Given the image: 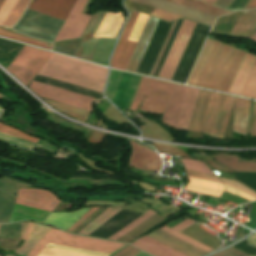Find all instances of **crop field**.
Here are the masks:
<instances>
[{"label":"crop field","instance_id":"obj_51","mask_svg":"<svg viewBox=\"0 0 256 256\" xmlns=\"http://www.w3.org/2000/svg\"><path fill=\"white\" fill-rule=\"evenodd\" d=\"M38 256H85V255L44 248Z\"/></svg>","mask_w":256,"mask_h":256},{"label":"crop field","instance_id":"obj_59","mask_svg":"<svg viewBox=\"0 0 256 256\" xmlns=\"http://www.w3.org/2000/svg\"><path fill=\"white\" fill-rule=\"evenodd\" d=\"M221 197H223V198H225V199H228V200H231V201H233V202H236V203H238V204L245 203V202H249V201H247V200L241 199V198H239V197H236V196H234V195L228 194V193H226V192H224Z\"/></svg>","mask_w":256,"mask_h":256},{"label":"crop field","instance_id":"obj_65","mask_svg":"<svg viewBox=\"0 0 256 256\" xmlns=\"http://www.w3.org/2000/svg\"><path fill=\"white\" fill-rule=\"evenodd\" d=\"M60 110V109H59ZM61 111H63V110H61ZM63 112H65V113H67V114H69V115H71V116H74V117H76V118H78V119H81V120H84V121H86V117H83V116H79V115H76V114H73V113H70V112H67V111H63Z\"/></svg>","mask_w":256,"mask_h":256},{"label":"crop field","instance_id":"obj_25","mask_svg":"<svg viewBox=\"0 0 256 256\" xmlns=\"http://www.w3.org/2000/svg\"><path fill=\"white\" fill-rule=\"evenodd\" d=\"M181 233L188 235L213 249H216L222 243L219 238L207 233L196 224L190 226Z\"/></svg>","mask_w":256,"mask_h":256},{"label":"crop field","instance_id":"obj_42","mask_svg":"<svg viewBox=\"0 0 256 256\" xmlns=\"http://www.w3.org/2000/svg\"><path fill=\"white\" fill-rule=\"evenodd\" d=\"M105 15V12H98L95 13L93 19L91 20L88 28L86 29L84 35L82 36V38H92L98 28V26L100 25L103 17Z\"/></svg>","mask_w":256,"mask_h":256},{"label":"crop field","instance_id":"obj_37","mask_svg":"<svg viewBox=\"0 0 256 256\" xmlns=\"http://www.w3.org/2000/svg\"><path fill=\"white\" fill-rule=\"evenodd\" d=\"M154 214L156 213H154L152 210L149 209L142 217L138 218L131 224L127 225L126 227L118 231L117 233L113 234L112 236L109 237V239H113V240L118 239L119 237H121L122 235H124L125 233L133 229L134 227L138 226L139 224H141L142 222H144L145 220L153 216Z\"/></svg>","mask_w":256,"mask_h":256},{"label":"crop field","instance_id":"obj_36","mask_svg":"<svg viewBox=\"0 0 256 256\" xmlns=\"http://www.w3.org/2000/svg\"><path fill=\"white\" fill-rule=\"evenodd\" d=\"M166 104L165 102L145 98L139 110L153 114H162Z\"/></svg>","mask_w":256,"mask_h":256},{"label":"crop field","instance_id":"obj_55","mask_svg":"<svg viewBox=\"0 0 256 256\" xmlns=\"http://www.w3.org/2000/svg\"><path fill=\"white\" fill-rule=\"evenodd\" d=\"M177 21H178V20L174 21L173 24H172V26H171V29H170V31H169V33H168V35H167V38H166V40H165V42H164V45H163V47H162V49H161V51H160V54H159V56H158V58H157V61H156L155 65H154V67H153V70H152L151 74H150L151 76L153 75V73H154V71H155V69H156V67H157V64H158V62H159V60H160V58H161V56H162V53H163V51H164V49H165V47H166V45H167V43H168V40H169V38H170V36H171V34H172V32H173V29H174V27H175Z\"/></svg>","mask_w":256,"mask_h":256},{"label":"crop field","instance_id":"obj_19","mask_svg":"<svg viewBox=\"0 0 256 256\" xmlns=\"http://www.w3.org/2000/svg\"><path fill=\"white\" fill-rule=\"evenodd\" d=\"M133 245L155 255V256H186L172 248H169L147 236L139 238ZM132 245V246H133ZM134 246V247H135Z\"/></svg>","mask_w":256,"mask_h":256},{"label":"crop field","instance_id":"obj_29","mask_svg":"<svg viewBox=\"0 0 256 256\" xmlns=\"http://www.w3.org/2000/svg\"><path fill=\"white\" fill-rule=\"evenodd\" d=\"M163 219L165 218L156 214L150 219H148L147 221H145L144 223H142L141 225H139L138 227L134 228L133 230H131L130 232H128L127 234L119 238L118 241L130 243L136 237L140 236L143 232H145L146 230H148L158 222L162 221Z\"/></svg>","mask_w":256,"mask_h":256},{"label":"crop field","instance_id":"obj_11","mask_svg":"<svg viewBox=\"0 0 256 256\" xmlns=\"http://www.w3.org/2000/svg\"><path fill=\"white\" fill-rule=\"evenodd\" d=\"M174 85L172 83L142 77L129 109L136 111L146 93L147 98L167 102Z\"/></svg>","mask_w":256,"mask_h":256},{"label":"crop field","instance_id":"obj_58","mask_svg":"<svg viewBox=\"0 0 256 256\" xmlns=\"http://www.w3.org/2000/svg\"><path fill=\"white\" fill-rule=\"evenodd\" d=\"M225 190L229 191L231 193L237 194L239 196L245 197V198L250 199V200H256L255 199L256 197L253 198V197H251V196H249V195H247V194H245V193H243V192H241V191H239V190H237V189H235V188H233L231 186H228L226 184H225Z\"/></svg>","mask_w":256,"mask_h":256},{"label":"crop field","instance_id":"obj_31","mask_svg":"<svg viewBox=\"0 0 256 256\" xmlns=\"http://www.w3.org/2000/svg\"><path fill=\"white\" fill-rule=\"evenodd\" d=\"M122 209L118 208H108L106 211H104L100 216H98L94 221H92L88 226H86L82 231H80V234H86L89 235L94 230H96L98 227H100L102 224H104L107 220H109L111 217H113L115 214H117Z\"/></svg>","mask_w":256,"mask_h":256},{"label":"crop field","instance_id":"obj_33","mask_svg":"<svg viewBox=\"0 0 256 256\" xmlns=\"http://www.w3.org/2000/svg\"><path fill=\"white\" fill-rule=\"evenodd\" d=\"M29 0H19L14 10L7 18V20L3 23L2 27L11 28L14 23L21 17L23 11L25 10Z\"/></svg>","mask_w":256,"mask_h":256},{"label":"crop field","instance_id":"obj_40","mask_svg":"<svg viewBox=\"0 0 256 256\" xmlns=\"http://www.w3.org/2000/svg\"><path fill=\"white\" fill-rule=\"evenodd\" d=\"M4 111L5 110L0 107V118L2 117ZM0 140H4L9 144L16 145V146L23 147V148H28V149H32V150L34 148L33 147L34 143L15 138V137L3 134L1 132H0Z\"/></svg>","mask_w":256,"mask_h":256},{"label":"crop field","instance_id":"obj_4","mask_svg":"<svg viewBox=\"0 0 256 256\" xmlns=\"http://www.w3.org/2000/svg\"><path fill=\"white\" fill-rule=\"evenodd\" d=\"M234 98L200 89L188 131L224 136Z\"/></svg>","mask_w":256,"mask_h":256},{"label":"crop field","instance_id":"obj_9","mask_svg":"<svg viewBox=\"0 0 256 256\" xmlns=\"http://www.w3.org/2000/svg\"><path fill=\"white\" fill-rule=\"evenodd\" d=\"M228 92L256 98V56L246 54Z\"/></svg>","mask_w":256,"mask_h":256},{"label":"crop field","instance_id":"obj_2","mask_svg":"<svg viewBox=\"0 0 256 256\" xmlns=\"http://www.w3.org/2000/svg\"><path fill=\"white\" fill-rule=\"evenodd\" d=\"M76 0H32L28 10L65 21ZM26 10L14 30L53 42L63 21Z\"/></svg>","mask_w":256,"mask_h":256},{"label":"crop field","instance_id":"obj_3","mask_svg":"<svg viewBox=\"0 0 256 256\" xmlns=\"http://www.w3.org/2000/svg\"><path fill=\"white\" fill-rule=\"evenodd\" d=\"M55 54L45 63L39 75L102 93L106 68Z\"/></svg>","mask_w":256,"mask_h":256},{"label":"crop field","instance_id":"obj_14","mask_svg":"<svg viewBox=\"0 0 256 256\" xmlns=\"http://www.w3.org/2000/svg\"><path fill=\"white\" fill-rule=\"evenodd\" d=\"M16 200L17 204L47 211H53L60 202L53 194L40 189H19Z\"/></svg>","mask_w":256,"mask_h":256},{"label":"crop field","instance_id":"obj_13","mask_svg":"<svg viewBox=\"0 0 256 256\" xmlns=\"http://www.w3.org/2000/svg\"><path fill=\"white\" fill-rule=\"evenodd\" d=\"M172 22L159 20L136 72L150 74Z\"/></svg>","mask_w":256,"mask_h":256},{"label":"crop field","instance_id":"obj_48","mask_svg":"<svg viewBox=\"0 0 256 256\" xmlns=\"http://www.w3.org/2000/svg\"><path fill=\"white\" fill-rule=\"evenodd\" d=\"M44 100L47 101L50 105H52L54 107H57V108H60V109H63V110H67V111L77 113V114H80V115H83V116H88V114H89V111H85V110L75 108V107H72V106H69V105L49 101V100H46V99H44Z\"/></svg>","mask_w":256,"mask_h":256},{"label":"crop field","instance_id":"obj_64","mask_svg":"<svg viewBox=\"0 0 256 256\" xmlns=\"http://www.w3.org/2000/svg\"><path fill=\"white\" fill-rule=\"evenodd\" d=\"M255 31H256V21H255L254 25L252 26V28L250 29V31L248 32V34L246 35V38L251 39V37Z\"/></svg>","mask_w":256,"mask_h":256},{"label":"crop field","instance_id":"obj_32","mask_svg":"<svg viewBox=\"0 0 256 256\" xmlns=\"http://www.w3.org/2000/svg\"><path fill=\"white\" fill-rule=\"evenodd\" d=\"M169 1L179 3V4H182V5L188 6V7H192V8L201 10L203 12H206V13H209V14H212V15H215V16L230 13L228 11L219 10L217 8H214V7L210 6V5L200 3L196 0H169Z\"/></svg>","mask_w":256,"mask_h":256},{"label":"crop field","instance_id":"obj_10","mask_svg":"<svg viewBox=\"0 0 256 256\" xmlns=\"http://www.w3.org/2000/svg\"><path fill=\"white\" fill-rule=\"evenodd\" d=\"M28 87L38 95L47 99L69 104L89 111L91 110V101L95 99L34 81H32Z\"/></svg>","mask_w":256,"mask_h":256},{"label":"crop field","instance_id":"obj_63","mask_svg":"<svg viewBox=\"0 0 256 256\" xmlns=\"http://www.w3.org/2000/svg\"><path fill=\"white\" fill-rule=\"evenodd\" d=\"M256 8V0H250L243 9Z\"/></svg>","mask_w":256,"mask_h":256},{"label":"crop field","instance_id":"obj_6","mask_svg":"<svg viewBox=\"0 0 256 256\" xmlns=\"http://www.w3.org/2000/svg\"><path fill=\"white\" fill-rule=\"evenodd\" d=\"M56 243L61 245H67L92 251H98L111 254L123 244H117L112 242H106L101 240H95L90 238H84L79 236H73L56 229H51L46 236L36 245V247L29 253L28 256H37L42 248L48 243Z\"/></svg>","mask_w":256,"mask_h":256},{"label":"crop field","instance_id":"obj_15","mask_svg":"<svg viewBox=\"0 0 256 256\" xmlns=\"http://www.w3.org/2000/svg\"><path fill=\"white\" fill-rule=\"evenodd\" d=\"M138 12L133 11L111 59V67L124 70L137 43L126 41Z\"/></svg>","mask_w":256,"mask_h":256},{"label":"crop field","instance_id":"obj_24","mask_svg":"<svg viewBox=\"0 0 256 256\" xmlns=\"http://www.w3.org/2000/svg\"><path fill=\"white\" fill-rule=\"evenodd\" d=\"M49 214L50 212L47 211L15 204L9 222L20 221L22 219L43 221Z\"/></svg>","mask_w":256,"mask_h":256},{"label":"crop field","instance_id":"obj_52","mask_svg":"<svg viewBox=\"0 0 256 256\" xmlns=\"http://www.w3.org/2000/svg\"><path fill=\"white\" fill-rule=\"evenodd\" d=\"M155 232H157V233H159V234H161V235H163V236H165V237H167V238H169V239H171V240H173V241H175V242H177V243H179V244H181V245H183V246H185V247H187V248H189V249H191V250H193V251H195V252H197V253H199V254H201V255H204V254H206L205 252H203V251H201V250H199V249H197V248H195V247H193V246H191V245H189V244H187V243H185V242H183V241H181V240H179V239H177V238H175V237H173V236H171V235H169V234H167V233H165V232H163V231H161V230H156ZM154 232V233H155ZM156 233V234H157ZM158 234V235H159ZM160 235V236H161ZM162 236V237H163ZM164 237V238H165ZM166 238V239H167Z\"/></svg>","mask_w":256,"mask_h":256},{"label":"crop field","instance_id":"obj_1","mask_svg":"<svg viewBox=\"0 0 256 256\" xmlns=\"http://www.w3.org/2000/svg\"><path fill=\"white\" fill-rule=\"evenodd\" d=\"M245 52L207 39L187 84L228 91Z\"/></svg>","mask_w":256,"mask_h":256},{"label":"crop field","instance_id":"obj_28","mask_svg":"<svg viewBox=\"0 0 256 256\" xmlns=\"http://www.w3.org/2000/svg\"><path fill=\"white\" fill-rule=\"evenodd\" d=\"M194 223H196V222L191 220V219H188V220L182 222L181 224H179V225H177V226H175L171 229H169L167 227H164V228H162V230H164V231H166V232H168V233H170V234H172V235H174V236H176V237H178V238H180V239H182V240H184V241H186V242H188V243H190V244H192V245H194V246H196V247H198V248H200V249H202V250H204L208 253L211 252L213 249H211V248H209V247H207V246H205V245H203V244H201V243H199V242H197V241L179 233L180 231L184 230L185 228L189 227L190 225H192Z\"/></svg>","mask_w":256,"mask_h":256},{"label":"crop field","instance_id":"obj_66","mask_svg":"<svg viewBox=\"0 0 256 256\" xmlns=\"http://www.w3.org/2000/svg\"><path fill=\"white\" fill-rule=\"evenodd\" d=\"M135 256H150V255H148V254H146V253L140 251V252H139L137 255H135Z\"/></svg>","mask_w":256,"mask_h":256},{"label":"crop field","instance_id":"obj_47","mask_svg":"<svg viewBox=\"0 0 256 256\" xmlns=\"http://www.w3.org/2000/svg\"><path fill=\"white\" fill-rule=\"evenodd\" d=\"M235 177L256 190V173H235Z\"/></svg>","mask_w":256,"mask_h":256},{"label":"crop field","instance_id":"obj_7","mask_svg":"<svg viewBox=\"0 0 256 256\" xmlns=\"http://www.w3.org/2000/svg\"><path fill=\"white\" fill-rule=\"evenodd\" d=\"M51 55L52 53L24 45L7 70L27 86Z\"/></svg>","mask_w":256,"mask_h":256},{"label":"crop field","instance_id":"obj_35","mask_svg":"<svg viewBox=\"0 0 256 256\" xmlns=\"http://www.w3.org/2000/svg\"><path fill=\"white\" fill-rule=\"evenodd\" d=\"M0 36H4V37L12 38V39H15V40H18V41H22V42H25V43L37 45V46H40V47H43V48H46V49H49V50H51V47H52V44L41 42V41L31 39V38H28V37H24V36H21V35H18V34H14V33L8 32V31H6L2 28H0Z\"/></svg>","mask_w":256,"mask_h":256},{"label":"crop field","instance_id":"obj_44","mask_svg":"<svg viewBox=\"0 0 256 256\" xmlns=\"http://www.w3.org/2000/svg\"><path fill=\"white\" fill-rule=\"evenodd\" d=\"M46 247L47 248L58 249V250L69 251V252L80 253V254H85V255H91V256H108V254L92 252V251H87V250H82V249H77V248H72V247H67V246L51 244V243H48L46 245Z\"/></svg>","mask_w":256,"mask_h":256},{"label":"crop field","instance_id":"obj_50","mask_svg":"<svg viewBox=\"0 0 256 256\" xmlns=\"http://www.w3.org/2000/svg\"><path fill=\"white\" fill-rule=\"evenodd\" d=\"M140 129L143 131L145 136L153 137L156 139H161L159 128L157 125L145 124Z\"/></svg>","mask_w":256,"mask_h":256},{"label":"crop field","instance_id":"obj_27","mask_svg":"<svg viewBox=\"0 0 256 256\" xmlns=\"http://www.w3.org/2000/svg\"><path fill=\"white\" fill-rule=\"evenodd\" d=\"M255 20L256 10L244 11L230 34L237 37H245Z\"/></svg>","mask_w":256,"mask_h":256},{"label":"crop field","instance_id":"obj_68","mask_svg":"<svg viewBox=\"0 0 256 256\" xmlns=\"http://www.w3.org/2000/svg\"><path fill=\"white\" fill-rule=\"evenodd\" d=\"M253 137H256V120H255V126H254V134Z\"/></svg>","mask_w":256,"mask_h":256},{"label":"crop field","instance_id":"obj_18","mask_svg":"<svg viewBox=\"0 0 256 256\" xmlns=\"http://www.w3.org/2000/svg\"><path fill=\"white\" fill-rule=\"evenodd\" d=\"M32 222H27L22 233V240L26 239ZM51 227L34 223L25 242L17 249L18 254L27 255L32 248L41 240Z\"/></svg>","mask_w":256,"mask_h":256},{"label":"crop field","instance_id":"obj_67","mask_svg":"<svg viewBox=\"0 0 256 256\" xmlns=\"http://www.w3.org/2000/svg\"><path fill=\"white\" fill-rule=\"evenodd\" d=\"M215 1H216V0H207L206 3H209V4H212V5H213Z\"/></svg>","mask_w":256,"mask_h":256},{"label":"crop field","instance_id":"obj_16","mask_svg":"<svg viewBox=\"0 0 256 256\" xmlns=\"http://www.w3.org/2000/svg\"><path fill=\"white\" fill-rule=\"evenodd\" d=\"M131 145L133 151L130 155V165L144 170H160L162 162L156 153L150 152L149 149L134 142H131Z\"/></svg>","mask_w":256,"mask_h":256},{"label":"crop field","instance_id":"obj_46","mask_svg":"<svg viewBox=\"0 0 256 256\" xmlns=\"http://www.w3.org/2000/svg\"><path fill=\"white\" fill-rule=\"evenodd\" d=\"M154 145L156 146V148L159 151V153L175 154V155L191 158L182 149L171 147V146H167V145H162V144H156V143H154Z\"/></svg>","mask_w":256,"mask_h":256},{"label":"crop field","instance_id":"obj_38","mask_svg":"<svg viewBox=\"0 0 256 256\" xmlns=\"http://www.w3.org/2000/svg\"><path fill=\"white\" fill-rule=\"evenodd\" d=\"M148 236H150V237H152V238H154V239H156V240H158V241H160V242H162V243H164V244H166V245H168V246H170V247H172V248H174V249H176V250H178V251H180V252H182V253H184L188 256H201V255H199V254H197V253H195V252H193V251H191V250H189V249H187V248H185V247H183V246H181V245H179V244H177V243H175V242H173L169 239H166V238H164V237H162V236H160V235H158L154 232L151 233Z\"/></svg>","mask_w":256,"mask_h":256},{"label":"crop field","instance_id":"obj_56","mask_svg":"<svg viewBox=\"0 0 256 256\" xmlns=\"http://www.w3.org/2000/svg\"><path fill=\"white\" fill-rule=\"evenodd\" d=\"M214 256H250L234 248H229L223 252H220Z\"/></svg>","mask_w":256,"mask_h":256},{"label":"crop field","instance_id":"obj_20","mask_svg":"<svg viewBox=\"0 0 256 256\" xmlns=\"http://www.w3.org/2000/svg\"><path fill=\"white\" fill-rule=\"evenodd\" d=\"M250 101L236 97L233 131L246 136Z\"/></svg>","mask_w":256,"mask_h":256},{"label":"crop field","instance_id":"obj_34","mask_svg":"<svg viewBox=\"0 0 256 256\" xmlns=\"http://www.w3.org/2000/svg\"><path fill=\"white\" fill-rule=\"evenodd\" d=\"M97 40L98 39H92V40L82 39L76 57L86 59V60H91Z\"/></svg>","mask_w":256,"mask_h":256},{"label":"crop field","instance_id":"obj_60","mask_svg":"<svg viewBox=\"0 0 256 256\" xmlns=\"http://www.w3.org/2000/svg\"><path fill=\"white\" fill-rule=\"evenodd\" d=\"M103 133H99V132H93V134L90 136V138L87 140L90 143H100L102 137H103Z\"/></svg>","mask_w":256,"mask_h":256},{"label":"crop field","instance_id":"obj_23","mask_svg":"<svg viewBox=\"0 0 256 256\" xmlns=\"http://www.w3.org/2000/svg\"><path fill=\"white\" fill-rule=\"evenodd\" d=\"M123 14L118 12L117 15L107 12L94 38L109 37L114 38L119 27L123 22ZM93 38V37H92Z\"/></svg>","mask_w":256,"mask_h":256},{"label":"crop field","instance_id":"obj_22","mask_svg":"<svg viewBox=\"0 0 256 256\" xmlns=\"http://www.w3.org/2000/svg\"><path fill=\"white\" fill-rule=\"evenodd\" d=\"M91 209H82L71 213H51L44 222L67 230Z\"/></svg>","mask_w":256,"mask_h":256},{"label":"crop field","instance_id":"obj_62","mask_svg":"<svg viewBox=\"0 0 256 256\" xmlns=\"http://www.w3.org/2000/svg\"><path fill=\"white\" fill-rule=\"evenodd\" d=\"M207 162V161H206ZM210 166H212L214 169H217V170H222V171H227V172H232L230 170H227L219 165H217L216 163L214 162H207ZM233 173V172H232Z\"/></svg>","mask_w":256,"mask_h":256},{"label":"crop field","instance_id":"obj_57","mask_svg":"<svg viewBox=\"0 0 256 256\" xmlns=\"http://www.w3.org/2000/svg\"><path fill=\"white\" fill-rule=\"evenodd\" d=\"M138 252H139V250H137L131 246H127V247L123 248L122 250H120L119 252H117L113 256H134Z\"/></svg>","mask_w":256,"mask_h":256},{"label":"crop field","instance_id":"obj_49","mask_svg":"<svg viewBox=\"0 0 256 256\" xmlns=\"http://www.w3.org/2000/svg\"><path fill=\"white\" fill-rule=\"evenodd\" d=\"M18 0H6L5 4L0 10V26L10 14Z\"/></svg>","mask_w":256,"mask_h":256},{"label":"crop field","instance_id":"obj_30","mask_svg":"<svg viewBox=\"0 0 256 256\" xmlns=\"http://www.w3.org/2000/svg\"><path fill=\"white\" fill-rule=\"evenodd\" d=\"M114 41L115 40L99 39L91 61L107 66V58Z\"/></svg>","mask_w":256,"mask_h":256},{"label":"crop field","instance_id":"obj_71","mask_svg":"<svg viewBox=\"0 0 256 256\" xmlns=\"http://www.w3.org/2000/svg\"><path fill=\"white\" fill-rule=\"evenodd\" d=\"M201 1L205 2L206 0H201Z\"/></svg>","mask_w":256,"mask_h":256},{"label":"crop field","instance_id":"obj_45","mask_svg":"<svg viewBox=\"0 0 256 256\" xmlns=\"http://www.w3.org/2000/svg\"><path fill=\"white\" fill-rule=\"evenodd\" d=\"M0 131L3 132V133H6V134H9V135H12V136H15V137H18V138H21V139H24V140H28V141H31V142H34L36 143L38 138H34V137H31V136H28L18 130H15V129H12L2 123H0Z\"/></svg>","mask_w":256,"mask_h":256},{"label":"crop field","instance_id":"obj_61","mask_svg":"<svg viewBox=\"0 0 256 256\" xmlns=\"http://www.w3.org/2000/svg\"><path fill=\"white\" fill-rule=\"evenodd\" d=\"M99 207H97V208H93L91 211H89L85 216H83L82 218H81V220H79L78 222H77V224H74L72 227H70L69 229H68V231H72L73 229H75L81 222H83L88 216H90L96 209H98Z\"/></svg>","mask_w":256,"mask_h":256},{"label":"crop field","instance_id":"obj_69","mask_svg":"<svg viewBox=\"0 0 256 256\" xmlns=\"http://www.w3.org/2000/svg\"><path fill=\"white\" fill-rule=\"evenodd\" d=\"M4 2H5V0H0V8L2 7Z\"/></svg>","mask_w":256,"mask_h":256},{"label":"crop field","instance_id":"obj_70","mask_svg":"<svg viewBox=\"0 0 256 256\" xmlns=\"http://www.w3.org/2000/svg\"><path fill=\"white\" fill-rule=\"evenodd\" d=\"M252 40L256 41V32H255L254 36L252 37Z\"/></svg>","mask_w":256,"mask_h":256},{"label":"crop field","instance_id":"obj_72","mask_svg":"<svg viewBox=\"0 0 256 256\" xmlns=\"http://www.w3.org/2000/svg\"><path fill=\"white\" fill-rule=\"evenodd\" d=\"M7 256H10V255H7Z\"/></svg>","mask_w":256,"mask_h":256},{"label":"crop field","instance_id":"obj_12","mask_svg":"<svg viewBox=\"0 0 256 256\" xmlns=\"http://www.w3.org/2000/svg\"><path fill=\"white\" fill-rule=\"evenodd\" d=\"M87 0H77L54 42L80 38L91 16L81 14Z\"/></svg>","mask_w":256,"mask_h":256},{"label":"crop field","instance_id":"obj_8","mask_svg":"<svg viewBox=\"0 0 256 256\" xmlns=\"http://www.w3.org/2000/svg\"><path fill=\"white\" fill-rule=\"evenodd\" d=\"M195 24V22L185 19L183 20L177 36L173 42V45L170 49V52L163 65V68L159 74L160 78H165L169 80L172 79Z\"/></svg>","mask_w":256,"mask_h":256},{"label":"crop field","instance_id":"obj_41","mask_svg":"<svg viewBox=\"0 0 256 256\" xmlns=\"http://www.w3.org/2000/svg\"><path fill=\"white\" fill-rule=\"evenodd\" d=\"M182 164H184L185 169H187V170L213 174L206 164L199 162V161L182 158Z\"/></svg>","mask_w":256,"mask_h":256},{"label":"crop field","instance_id":"obj_53","mask_svg":"<svg viewBox=\"0 0 256 256\" xmlns=\"http://www.w3.org/2000/svg\"><path fill=\"white\" fill-rule=\"evenodd\" d=\"M149 15H152V16H155V17L167 20V21L183 18V17L176 16V15H173V14H170V13H167L164 11H160L157 9L153 10L151 13H149Z\"/></svg>","mask_w":256,"mask_h":256},{"label":"crop field","instance_id":"obj_26","mask_svg":"<svg viewBox=\"0 0 256 256\" xmlns=\"http://www.w3.org/2000/svg\"><path fill=\"white\" fill-rule=\"evenodd\" d=\"M215 161L225 167H228L234 171H252L256 172V163L254 162H244L239 161L238 157L234 156H215L213 155Z\"/></svg>","mask_w":256,"mask_h":256},{"label":"crop field","instance_id":"obj_43","mask_svg":"<svg viewBox=\"0 0 256 256\" xmlns=\"http://www.w3.org/2000/svg\"><path fill=\"white\" fill-rule=\"evenodd\" d=\"M22 223L23 222L9 225H1L0 238L18 237Z\"/></svg>","mask_w":256,"mask_h":256},{"label":"crop field","instance_id":"obj_5","mask_svg":"<svg viewBox=\"0 0 256 256\" xmlns=\"http://www.w3.org/2000/svg\"><path fill=\"white\" fill-rule=\"evenodd\" d=\"M198 90L176 84L161 121L171 127L187 130Z\"/></svg>","mask_w":256,"mask_h":256},{"label":"crop field","instance_id":"obj_54","mask_svg":"<svg viewBox=\"0 0 256 256\" xmlns=\"http://www.w3.org/2000/svg\"><path fill=\"white\" fill-rule=\"evenodd\" d=\"M234 248L238 249V250H241L247 254H250L252 256H256V248L253 247V246H250L248 243H247V240L245 239L244 241H242L241 243L233 246Z\"/></svg>","mask_w":256,"mask_h":256},{"label":"crop field","instance_id":"obj_21","mask_svg":"<svg viewBox=\"0 0 256 256\" xmlns=\"http://www.w3.org/2000/svg\"><path fill=\"white\" fill-rule=\"evenodd\" d=\"M187 177L190 182L185 186V190L212 195L216 197H219L220 194L223 192V184L221 183L193 178L189 176Z\"/></svg>","mask_w":256,"mask_h":256},{"label":"crop field","instance_id":"obj_17","mask_svg":"<svg viewBox=\"0 0 256 256\" xmlns=\"http://www.w3.org/2000/svg\"><path fill=\"white\" fill-rule=\"evenodd\" d=\"M158 20V18H154L151 16L149 17L146 26L142 32V35L138 41V44L125 70L132 72L136 71Z\"/></svg>","mask_w":256,"mask_h":256},{"label":"crop field","instance_id":"obj_39","mask_svg":"<svg viewBox=\"0 0 256 256\" xmlns=\"http://www.w3.org/2000/svg\"><path fill=\"white\" fill-rule=\"evenodd\" d=\"M148 17H149L148 15H144L141 13L139 14V16L134 24V27H133L127 40L135 41V42L138 41Z\"/></svg>","mask_w":256,"mask_h":256}]
</instances>
